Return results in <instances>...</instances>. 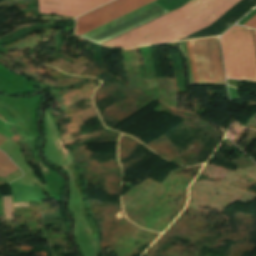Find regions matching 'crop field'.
Returning <instances> with one entry per match:
<instances>
[{"mask_svg": "<svg viewBox=\"0 0 256 256\" xmlns=\"http://www.w3.org/2000/svg\"><path fill=\"white\" fill-rule=\"evenodd\" d=\"M211 1L212 0H191L183 7L152 22H149L135 30H132L120 37H117L105 43L104 45L125 48L141 39H144L158 31H161L196 14ZM239 1L240 0H213L196 15L161 32H158L142 41H139L127 48L154 43L177 41L211 25Z\"/></svg>", "mask_w": 256, "mask_h": 256, "instance_id": "obj_1", "label": "crop field"}, {"mask_svg": "<svg viewBox=\"0 0 256 256\" xmlns=\"http://www.w3.org/2000/svg\"><path fill=\"white\" fill-rule=\"evenodd\" d=\"M220 40L227 77L256 81V55L251 30L235 26Z\"/></svg>", "mask_w": 256, "mask_h": 256, "instance_id": "obj_2", "label": "crop field"}, {"mask_svg": "<svg viewBox=\"0 0 256 256\" xmlns=\"http://www.w3.org/2000/svg\"><path fill=\"white\" fill-rule=\"evenodd\" d=\"M155 0H116L77 19L76 35L81 36Z\"/></svg>", "mask_w": 256, "mask_h": 256, "instance_id": "obj_3", "label": "crop field"}, {"mask_svg": "<svg viewBox=\"0 0 256 256\" xmlns=\"http://www.w3.org/2000/svg\"><path fill=\"white\" fill-rule=\"evenodd\" d=\"M192 43L200 82L225 83L217 38Z\"/></svg>", "mask_w": 256, "mask_h": 256, "instance_id": "obj_4", "label": "crop field"}, {"mask_svg": "<svg viewBox=\"0 0 256 256\" xmlns=\"http://www.w3.org/2000/svg\"><path fill=\"white\" fill-rule=\"evenodd\" d=\"M111 0H38L39 12L46 14L80 16Z\"/></svg>", "mask_w": 256, "mask_h": 256, "instance_id": "obj_5", "label": "crop field"}, {"mask_svg": "<svg viewBox=\"0 0 256 256\" xmlns=\"http://www.w3.org/2000/svg\"><path fill=\"white\" fill-rule=\"evenodd\" d=\"M17 170L19 169L0 151V175L6 177Z\"/></svg>", "mask_w": 256, "mask_h": 256, "instance_id": "obj_6", "label": "crop field"}, {"mask_svg": "<svg viewBox=\"0 0 256 256\" xmlns=\"http://www.w3.org/2000/svg\"><path fill=\"white\" fill-rule=\"evenodd\" d=\"M194 84H199L191 41L186 42Z\"/></svg>", "mask_w": 256, "mask_h": 256, "instance_id": "obj_7", "label": "crop field"}, {"mask_svg": "<svg viewBox=\"0 0 256 256\" xmlns=\"http://www.w3.org/2000/svg\"><path fill=\"white\" fill-rule=\"evenodd\" d=\"M4 220L12 219L11 196H3Z\"/></svg>", "mask_w": 256, "mask_h": 256, "instance_id": "obj_8", "label": "crop field"}, {"mask_svg": "<svg viewBox=\"0 0 256 256\" xmlns=\"http://www.w3.org/2000/svg\"><path fill=\"white\" fill-rule=\"evenodd\" d=\"M164 13H166V12L163 11V12H161V13H159V14H157V15H155V16L149 18V19H146V20H144V21H142V22H140V23H138V24H136V25H134V26H132V27H130V28H127V29H125V30H123V31H121V32H119V33L113 35V36H110V37H108V38H106V39H104V40H102V41H100V42H98V43L102 44V43H104V42H106V41H108V40H110V39H112V38H114V37H116V36L122 34V33H125V32H127V31H129V30H131V29H133V28H135V27H137V26H139V25H141V24H143V23H146V22H148V21H150V20H152V19H154V18H156V17H158V16H160V15H162V14H164Z\"/></svg>", "mask_w": 256, "mask_h": 256, "instance_id": "obj_9", "label": "crop field"}, {"mask_svg": "<svg viewBox=\"0 0 256 256\" xmlns=\"http://www.w3.org/2000/svg\"><path fill=\"white\" fill-rule=\"evenodd\" d=\"M244 26H248V27H252V28H256V15L253 16L250 20H248L245 24H243Z\"/></svg>", "mask_w": 256, "mask_h": 256, "instance_id": "obj_10", "label": "crop field"}, {"mask_svg": "<svg viewBox=\"0 0 256 256\" xmlns=\"http://www.w3.org/2000/svg\"><path fill=\"white\" fill-rule=\"evenodd\" d=\"M7 138H5V137H3V136H1L0 135V144L4 141V140H6Z\"/></svg>", "mask_w": 256, "mask_h": 256, "instance_id": "obj_11", "label": "crop field"}, {"mask_svg": "<svg viewBox=\"0 0 256 256\" xmlns=\"http://www.w3.org/2000/svg\"><path fill=\"white\" fill-rule=\"evenodd\" d=\"M253 32H254V38H255V44H256V31L253 30Z\"/></svg>", "mask_w": 256, "mask_h": 256, "instance_id": "obj_12", "label": "crop field"}, {"mask_svg": "<svg viewBox=\"0 0 256 256\" xmlns=\"http://www.w3.org/2000/svg\"><path fill=\"white\" fill-rule=\"evenodd\" d=\"M1 119H3L2 117H0ZM4 120V119H3Z\"/></svg>", "mask_w": 256, "mask_h": 256, "instance_id": "obj_13", "label": "crop field"}]
</instances>
